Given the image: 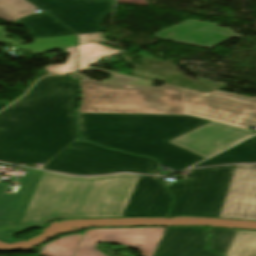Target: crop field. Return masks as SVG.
I'll return each instance as SVG.
<instances>
[{
    "instance_id": "obj_1",
    "label": "crop field",
    "mask_w": 256,
    "mask_h": 256,
    "mask_svg": "<svg viewBox=\"0 0 256 256\" xmlns=\"http://www.w3.org/2000/svg\"><path fill=\"white\" fill-rule=\"evenodd\" d=\"M78 85L42 79L0 113V161L45 164L77 139L73 112Z\"/></svg>"
},
{
    "instance_id": "obj_2",
    "label": "crop field",
    "mask_w": 256,
    "mask_h": 256,
    "mask_svg": "<svg viewBox=\"0 0 256 256\" xmlns=\"http://www.w3.org/2000/svg\"><path fill=\"white\" fill-rule=\"evenodd\" d=\"M80 87L79 112L189 114L238 127L256 126V98L219 91L203 94L168 84L126 89L81 79Z\"/></svg>"
},
{
    "instance_id": "obj_3",
    "label": "crop field",
    "mask_w": 256,
    "mask_h": 256,
    "mask_svg": "<svg viewBox=\"0 0 256 256\" xmlns=\"http://www.w3.org/2000/svg\"><path fill=\"white\" fill-rule=\"evenodd\" d=\"M81 136L88 141L155 158L175 171L204 158L168 143L210 120L189 115L76 113Z\"/></svg>"
},
{
    "instance_id": "obj_4",
    "label": "crop field",
    "mask_w": 256,
    "mask_h": 256,
    "mask_svg": "<svg viewBox=\"0 0 256 256\" xmlns=\"http://www.w3.org/2000/svg\"><path fill=\"white\" fill-rule=\"evenodd\" d=\"M139 177L82 178L44 172L18 228H37L66 218L121 217Z\"/></svg>"
},
{
    "instance_id": "obj_5",
    "label": "crop field",
    "mask_w": 256,
    "mask_h": 256,
    "mask_svg": "<svg viewBox=\"0 0 256 256\" xmlns=\"http://www.w3.org/2000/svg\"><path fill=\"white\" fill-rule=\"evenodd\" d=\"M235 166L192 170L188 182L168 186L175 196L169 217H218Z\"/></svg>"
},
{
    "instance_id": "obj_6",
    "label": "crop field",
    "mask_w": 256,
    "mask_h": 256,
    "mask_svg": "<svg viewBox=\"0 0 256 256\" xmlns=\"http://www.w3.org/2000/svg\"><path fill=\"white\" fill-rule=\"evenodd\" d=\"M43 169L75 175H94L117 171L154 175L155 163L148 158L132 156L90 143L74 141L47 163Z\"/></svg>"
},
{
    "instance_id": "obj_7",
    "label": "crop field",
    "mask_w": 256,
    "mask_h": 256,
    "mask_svg": "<svg viewBox=\"0 0 256 256\" xmlns=\"http://www.w3.org/2000/svg\"><path fill=\"white\" fill-rule=\"evenodd\" d=\"M66 24L76 34L103 31L102 19L113 9L114 0H29Z\"/></svg>"
},
{
    "instance_id": "obj_8",
    "label": "crop field",
    "mask_w": 256,
    "mask_h": 256,
    "mask_svg": "<svg viewBox=\"0 0 256 256\" xmlns=\"http://www.w3.org/2000/svg\"><path fill=\"white\" fill-rule=\"evenodd\" d=\"M164 228L94 229L84 233L75 256H105L95 250L98 241L120 242L153 256Z\"/></svg>"
},
{
    "instance_id": "obj_9",
    "label": "crop field",
    "mask_w": 256,
    "mask_h": 256,
    "mask_svg": "<svg viewBox=\"0 0 256 256\" xmlns=\"http://www.w3.org/2000/svg\"><path fill=\"white\" fill-rule=\"evenodd\" d=\"M253 134L248 129L212 121L169 142L207 158Z\"/></svg>"
},
{
    "instance_id": "obj_10",
    "label": "crop field",
    "mask_w": 256,
    "mask_h": 256,
    "mask_svg": "<svg viewBox=\"0 0 256 256\" xmlns=\"http://www.w3.org/2000/svg\"><path fill=\"white\" fill-rule=\"evenodd\" d=\"M219 217L256 220V164L236 166Z\"/></svg>"
},
{
    "instance_id": "obj_11",
    "label": "crop field",
    "mask_w": 256,
    "mask_h": 256,
    "mask_svg": "<svg viewBox=\"0 0 256 256\" xmlns=\"http://www.w3.org/2000/svg\"><path fill=\"white\" fill-rule=\"evenodd\" d=\"M21 170L27 171V173L17 194H4L8 184L0 183V239H4L7 242L12 241V236L8 234L15 232L44 172L26 168Z\"/></svg>"
},
{
    "instance_id": "obj_12",
    "label": "crop field",
    "mask_w": 256,
    "mask_h": 256,
    "mask_svg": "<svg viewBox=\"0 0 256 256\" xmlns=\"http://www.w3.org/2000/svg\"><path fill=\"white\" fill-rule=\"evenodd\" d=\"M156 39L175 43L212 48L236 35L232 30L217 27V24L187 20L154 34Z\"/></svg>"
},
{
    "instance_id": "obj_13",
    "label": "crop field",
    "mask_w": 256,
    "mask_h": 256,
    "mask_svg": "<svg viewBox=\"0 0 256 256\" xmlns=\"http://www.w3.org/2000/svg\"><path fill=\"white\" fill-rule=\"evenodd\" d=\"M160 178L141 176L122 217H165L172 198Z\"/></svg>"
},
{
    "instance_id": "obj_14",
    "label": "crop field",
    "mask_w": 256,
    "mask_h": 256,
    "mask_svg": "<svg viewBox=\"0 0 256 256\" xmlns=\"http://www.w3.org/2000/svg\"><path fill=\"white\" fill-rule=\"evenodd\" d=\"M199 227H168L154 256H219L205 249L207 235Z\"/></svg>"
},
{
    "instance_id": "obj_15",
    "label": "crop field",
    "mask_w": 256,
    "mask_h": 256,
    "mask_svg": "<svg viewBox=\"0 0 256 256\" xmlns=\"http://www.w3.org/2000/svg\"><path fill=\"white\" fill-rule=\"evenodd\" d=\"M29 29L33 38L72 35L73 32L60 24L47 13L34 14L32 16L15 21Z\"/></svg>"
},
{
    "instance_id": "obj_16",
    "label": "crop field",
    "mask_w": 256,
    "mask_h": 256,
    "mask_svg": "<svg viewBox=\"0 0 256 256\" xmlns=\"http://www.w3.org/2000/svg\"><path fill=\"white\" fill-rule=\"evenodd\" d=\"M244 162H256V136L194 167Z\"/></svg>"
},
{
    "instance_id": "obj_17",
    "label": "crop field",
    "mask_w": 256,
    "mask_h": 256,
    "mask_svg": "<svg viewBox=\"0 0 256 256\" xmlns=\"http://www.w3.org/2000/svg\"><path fill=\"white\" fill-rule=\"evenodd\" d=\"M5 30H6L5 27H0V43L17 45V46H20L21 49L23 50H30L31 53L33 54L44 53L46 51L65 48V47L73 46L76 44L75 37L73 35V36H64V37L34 39V42L32 45L22 46L18 42H15L12 40H6V36L9 34L5 33ZM16 39L19 40L18 38Z\"/></svg>"
},
{
    "instance_id": "obj_18",
    "label": "crop field",
    "mask_w": 256,
    "mask_h": 256,
    "mask_svg": "<svg viewBox=\"0 0 256 256\" xmlns=\"http://www.w3.org/2000/svg\"><path fill=\"white\" fill-rule=\"evenodd\" d=\"M226 256H256V231L238 230Z\"/></svg>"
},
{
    "instance_id": "obj_19",
    "label": "crop field",
    "mask_w": 256,
    "mask_h": 256,
    "mask_svg": "<svg viewBox=\"0 0 256 256\" xmlns=\"http://www.w3.org/2000/svg\"><path fill=\"white\" fill-rule=\"evenodd\" d=\"M82 236H64L59 240L43 246L40 254L44 256H74Z\"/></svg>"
},
{
    "instance_id": "obj_20",
    "label": "crop field",
    "mask_w": 256,
    "mask_h": 256,
    "mask_svg": "<svg viewBox=\"0 0 256 256\" xmlns=\"http://www.w3.org/2000/svg\"><path fill=\"white\" fill-rule=\"evenodd\" d=\"M37 9L25 0H0V17L8 20L22 18Z\"/></svg>"
},
{
    "instance_id": "obj_21",
    "label": "crop field",
    "mask_w": 256,
    "mask_h": 256,
    "mask_svg": "<svg viewBox=\"0 0 256 256\" xmlns=\"http://www.w3.org/2000/svg\"><path fill=\"white\" fill-rule=\"evenodd\" d=\"M78 50L80 53V58L78 60L80 71L104 55L118 53V50H113L109 47L95 43L80 45L78 46Z\"/></svg>"
},
{
    "instance_id": "obj_22",
    "label": "crop field",
    "mask_w": 256,
    "mask_h": 256,
    "mask_svg": "<svg viewBox=\"0 0 256 256\" xmlns=\"http://www.w3.org/2000/svg\"><path fill=\"white\" fill-rule=\"evenodd\" d=\"M208 231L212 233L209 249L225 255L237 230L210 228Z\"/></svg>"
},
{
    "instance_id": "obj_23",
    "label": "crop field",
    "mask_w": 256,
    "mask_h": 256,
    "mask_svg": "<svg viewBox=\"0 0 256 256\" xmlns=\"http://www.w3.org/2000/svg\"><path fill=\"white\" fill-rule=\"evenodd\" d=\"M85 71H99V72H103V73L112 75L110 80H102L101 81L102 83H107V84L152 86L154 83L152 81L139 79V78H135V77L119 74V73H114V72H110V71H106V70H101V69H97V68H92V67H89Z\"/></svg>"
},
{
    "instance_id": "obj_24",
    "label": "crop field",
    "mask_w": 256,
    "mask_h": 256,
    "mask_svg": "<svg viewBox=\"0 0 256 256\" xmlns=\"http://www.w3.org/2000/svg\"><path fill=\"white\" fill-rule=\"evenodd\" d=\"M75 48L76 47L66 49V51L70 54L66 61V64L49 65L45 69H47L51 73H57V74H67V73L77 72L76 60L78 58V54L75 51Z\"/></svg>"
},
{
    "instance_id": "obj_25",
    "label": "crop field",
    "mask_w": 256,
    "mask_h": 256,
    "mask_svg": "<svg viewBox=\"0 0 256 256\" xmlns=\"http://www.w3.org/2000/svg\"><path fill=\"white\" fill-rule=\"evenodd\" d=\"M77 39H78V45L90 43V42L110 44L103 38L102 33L77 35Z\"/></svg>"
},
{
    "instance_id": "obj_26",
    "label": "crop field",
    "mask_w": 256,
    "mask_h": 256,
    "mask_svg": "<svg viewBox=\"0 0 256 256\" xmlns=\"http://www.w3.org/2000/svg\"><path fill=\"white\" fill-rule=\"evenodd\" d=\"M45 78H58L61 82H69V83L77 84L74 80L65 76H47Z\"/></svg>"
},
{
    "instance_id": "obj_27",
    "label": "crop field",
    "mask_w": 256,
    "mask_h": 256,
    "mask_svg": "<svg viewBox=\"0 0 256 256\" xmlns=\"http://www.w3.org/2000/svg\"><path fill=\"white\" fill-rule=\"evenodd\" d=\"M6 106H7L6 104H3V103L0 102V110H1L2 108L6 107Z\"/></svg>"
},
{
    "instance_id": "obj_28",
    "label": "crop field",
    "mask_w": 256,
    "mask_h": 256,
    "mask_svg": "<svg viewBox=\"0 0 256 256\" xmlns=\"http://www.w3.org/2000/svg\"><path fill=\"white\" fill-rule=\"evenodd\" d=\"M127 88H132L133 86H126Z\"/></svg>"
}]
</instances>
